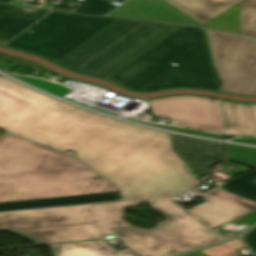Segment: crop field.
<instances>
[{
	"label": "crop field",
	"instance_id": "crop-field-11",
	"mask_svg": "<svg viewBox=\"0 0 256 256\" xmlns=\"http://www.w3.org/2000/svg\"><path fill=\"white\" fill-rule=\"evenodd\" d=\"M219 105L226 133L256 136V104L219 100Z\"/></svg>",
	"mask_w": 256,
	"mask_h": 256
},
{
	"label": "crop field",
	"instance_id": "crop-field-7",
	"mask_svg": "<svg viewBox=\"0 0 256 256\" xmlns=\"http://www.w3.org/2000/svg\"><path fill=\"white\" fill-rule=\"evenodd\" d=\"M214 68L221 86L218 91L255 95L256 38L206 30Z\"/></svg>",
	"mask_w": 256,
	"mask_h": 256
},
{
	"label": "crop field",
	"instance_id": "crop-field-22",
	"mask_svg": "<svg viewBox=\"0 0 256 256\" xmlns=\"http://www.w3.org/2000/svg\"><path fill=\"white\" fill-rule=\"evenodd\" d=\"M159 126L163 127V128L171 129V130L180 131V132L187 133V134H192V135H197V136H203V137H209V138H215V139L223 140L222 136L211 134V133L200 132V131H193V130H186V129H180V128L162 126V125H159Z\"/></svg>",
	"mask_w": 256,
	"mask_h": 256
},
{
	"label": "crop field",
	"instance_id": "crop-field-5",
	"mask_svg": "<svg viewBox=\"0 0 256 256\" xmlns=\"http://www.w3.org/2000/svg\"><path fill=\"white\" fill-rule=\"evenodd\" d=\"M172 62L179 65L172 66ZM120 86L136 92L174 87L216 91L219 83L211 67L203 29L198 30Z\"/></svg>",
	"mask_w": 256,
	"mask_h": 256
},
{
	"label": "crop field",
	"instance_id": "crop-field-21",
	"mask_svg": "<svg viewBox=\"0 0 256 256\" xmlns=\"http://www.w3.org/2000/svg\"><path fill=\"white\" fill-rule=\"evenodd\" d=\"M80 3L85 5L83 8L75 10V13L103 15L116 7L105 0H82Z\"/></svg>",
	"mask_w": 256,
	"mask_h": 256
},
{
	"label": "crop field",
	"instance_id": "crop-field-13",
	"mask_svg": "<svg viewBox=\"0 0 256 256\" xmlns=\"http://www.w3.org/2000/svg\"><path fill=\"white\" fill-rule=\"evenodd\" d=\"M21 7L0 4V41L7 42L16 34L47 14V11L31 9L22 12Z\"/></svg>",
	"mask_w": 256,
	"mask_h": 256
},
{
	"label": "crop field",
	"instance_id": "crop-field-4",
	"mask_svg": "<svg viewBox=\"0 0 256 256\" xmlns=\"http://www.w3.org/2000/svg\"><path fill=\"white\" fill-rule=\"evenodd\" d=\"M180 28L118 18L56 64L108 80Z\"/></svg>",
	"mask_w": 256,
	"mask_h": 256
},
{
	"label": "crop field",
	"instance_id": "crop-field-8",
	"mask_svg": "<svg viewBox=\"0 0 256 256\" xmlns=\"http://www.w3.org/2000/svg\"><path fill=\"white\" fill-rule=\"evenodd\" d=\"M155 116L171 118L170 124L223 133L217 102L198 96H173L149 100Z\"/></svg>",
	"mask_w": 256,
	"mask_h": 256
},
{
	"label": "crop field",
	"instance_id": "crop-field-12",
	"mask_svg": "<svg viewBox=\"0 0 256 256\" xmlns=\"http://www.w3.org/2000/svg\"><path fill=\"white\" fill-rule=\"evenodd\" d=\"M198 28L183 27L176 33L165 39L163 42L158 44L156 47L151 49L149 52L144 54L142 57L137 59L135 62L130 64L116 76H114L110 81L120 85L129 77L137 73L139 70L159 58L161 55L172 49L174 46L179 44L181 41L189 37L191 34L196 32ZM130 79V78H129Z\"/></svg>",
	"mask_w": 256,
	"mask_h": 256
},
{
	"label": "crop field",
	"instance_id": "crop-field-19",
	"mask_svg": "<svg viewBox=\"0 0 256 256\" xmlns=\"http://www.w3.org/2000/svg\"><path fill=\"white\" fill-rule=\"evenodd\" d=\"M227 147L233 162L256 168V149L229 144Z\"/></svg>",
	"mask_w": 256,
	"mask_h": 256
},
{
	"label": "crop field",
	"instance_id": "crop-field-3",
	"mask_svg": "<svg viewBox=\"0 0 256 256\" xmlns=\"http://www.w3.org/2000/svg\"><path fill=\"white\" fill-rule=\"evenodd\" d=\"M120 200L115 187L74 157L5 132L0 211Z\"/></svg>",
	"mask_w": 256,
	"mask_h": 256
},
{
	"label": "crop field",
	"instance_id": "crop-field-18",
	"mask_svg": "<svg viewBox=\"0 0 256 256\" xmlns=\"http://www.w3.org/2000/svg\"><path fill=\"white\" fill-rule=\"evenodd\" d=\"M207 27L240 33L239 5L208 23Z\"/></svg>",
	"mask_w": 256,
	"mask_h": 256
},
{
	"label": "crop field",
	"instance_id": "crop-field-24",
	"mask_svg": "<svg viewBox=\"0 0 256 256\" xmlns=\"http://www.w3.org/2000/svg\"><path fill=\"white\" fill-rule=\"evenodd\" d=\"M231 141L256 145V138H244V139H236Z\"/></svg>",
	"mask_w": 256,
	"mask_h": 256
},
{
	"label": "crop field",
	"instance_id": "crop-field-15",
	"mask_svg": "<svg viewBox=\"0 0 256 256\" xmlns=\"http://www.w3.org/2000/svg\"><path fill=\"white\" fill-rule=\"evenodd\" d=\"M51 246L55 256H139L130 248L116 252L101 240Z\"/></svg>",
	"mask_w": 256,
	"mask_h": 256
},
{
	"label": "crop field",
	"instance_id": "crop-field-25",
	"mask_svg": "<svg viewBox=\"0 0 256 256\" xmlns=\"http://www.w3.org/2000/svg\"><path fill=\"white\" fill-rule=\"evenodd\" d=\"M185 256H205V255L203 253H201L200 251H198V252L188 254V255H185Z\"/></svg>",
	"mask_w": 256,
	"mask_h": 256
},
{
	"label": "crop field",
	"instance_id": "crop-field-1",
	"mask_svg": "<svg viewBox=\"0 0 256 256\" xmlns=\"http://www.w3.org/2000/svg\"><path fill=\"white\" fill-rule=\"evenodd\" d=\"M0 128L65 150L107 177L125 199L197 187L169 134L88 112L0 78Z\"/></svg>",
	"mask_w": 256,
	"mask_h": 256
},
{
	"label": "crop field",
	"instance_id": "crop-field-26",
	"mask_svg": "<svg viewBox=\"0 0 256 256\" xmlns=\"http://www.w3.org/2000/svg\"><path fill=\"white\" fill-rule=\"evenodd\" d=\"M0 2L8 3V2H10V0H0Z\"/></svg>",
	"mask_w": 256,
	"mask_h": 256
},
{
	"label": "crop field",
	"instance_id": "crop-field-9",
	"mask_svg": "<svg viewBox=\"0 0 256 256\" xmlns=\"http://www.w3.org/2000/svg\"><path fill=\"white\" fill-rule=\"evenodd\" d=\"M174 151L192 168L196 177L210 173V167L225 161L223 144L172 134Z\"/></svg>",
	"mask_w": 256,
	"mask_h": 256
},
{
	"label": "crop field",
	"instance_id": "crop-field-17",
	"mask_svg": "<svg viewBox=\"0 0 256 256\" xmlns=\"http://www.w3.org/2000/svg\"><path fill=\"white\" fill-rule=\"evenodd\" d=\"M241 33L256 36V0L240 3Z\"/></svg>",
	"mask_w": 256,
	"mask_h": 256
},
{
	"label": "crop field",
	"instance_id": "crop-field-14",
	"mask_svg": "<svg viewBox=\"0 0 256 256\" xmlns=\"http://www.w3.org/2000/svg\"><path fill=\"white\" fill-rule=\"evenodd\" d=\"M203 24L242 0H165ZM204 25V24H203Z\"/></svg>",
	"mask_w": 256,
	"mask_h": 256
},
{
	"label": "crop field",
	"instance_id": "crop-field-10",
	"mask_svg": "<svg viewBox=\"0 0 256 256\" xmlns=\"http://www.w3.org/2000/svg\"><path fill=\"white\" fill-rule=\"evenodd\" d=\"M109 15L200 26L160 0H129Z\"/></svg>",
	"mask_w": 256,
	"mask_h": 256
},
{
	"label": "crop field",
	"instance_id": "crop-field-2",
	"mask_svg": "<svg viewBox=\"0 0 256 256\" xmlns=\"http://www.w3.org/2000/svg\"><path fill=\"white\" fill-rule=\"evenodd\" d=\"M206 202L185 211L171 197L87 206L0 213V231L8 230L38 244L104 238L115 235L144 256H171L225 238L211 230L256 209V203L217 187ZM148 201L168 219L148 231L131 226L124 208Z\"/></svg>",
	"mask_w": 256,
	"mask_h": 256
},
{
	"label": "crop field",
	"instance_id": "crop-field-23",
	"mask_svg": "<svg viewBox=\"0 0 256 256\" xmlns=\"http://www.w3.org/2000/svg\"><path fill=\"white\" fill-rule=\"evenodd\" d=\"M243 237L254 255L256 256V227Z\"/></svg>",
	"mask_w": 256,
	"mask_h": 256
},
{
	"label": "crop field",
	"instance_id": "crop-field-20",
	"mask_svg": "<svg viewBox=\"0 0 256 256\" xmlns=\"http://www.w3.org/2000/svg\"><path fill=\"white\" fill-rule=\"evenodd\" d=\"M240 238L200 250L206 256H240L236 250L244 249Z\"/></svg>",
	"mask_w": 256,
	"mask_h": 256
},
{
	"label": "crop field",
	"instance_id": "crop-field-16",
	"mask_svg": "<svg viewBox=\"0 0 256 256\" xmlns=\"http://www.w3.org/2000/svg\"><path fill=\"white\" fill-rule=\"evenodd\" d=\"M219 186L227 191L256 202V169Z\"/></svg>",
	"mask_w": 256,
	"mask_h": 256
},
{
	"label": "crop field",
	"instance_id": "crop-field-6",
	"mask_svg": "<svg viewBox=\"0 0 256 256\" xmlns=\"http://www.w3.org/2000/svg\"><path fill=\"white\" fill-rule=\"evenodd\" d=\"M116 17L90 18L52 12L4 46L36 53L54 62L103 29Z\"/></svg>",
	"mask_w": 256,
	"mask_h": 256
}]
</instances>
